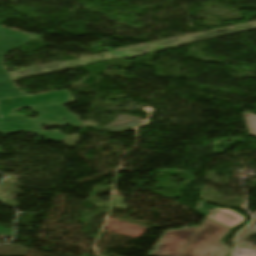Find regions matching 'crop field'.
Returning <instances> with one entry per match:
<instances>
[{
  "instance_id": "obj_1",
  "label": "crop field",
  "mask_w": 256,
  "mask_h": 256,
  "mask_svg": "<svg viewBox=\"0 0 256 256\" xmlns=\"http://www.w3.org/2000/svg\"><path fill=\"white\" fill-rule=\"evenodd\" d=\"M75 100L66 90L43 93L35 96H19L0 99V133L7 134L13 132L26 131L34 135L48 139L62 140L65 136L58 132H45L39 125L64 126L66 124L73 127L82 126V121L67 109L61 107L64 103L74 102ZM29 107L38 113V120H31L15 113L19 108ZM8 113L13 115L9 116ZM69 120L63 122V118ZM47 120L45 123L41 120ZM51 122V124H49ZM23 123H25L23 125ZM42 134L46 136H42ZM51 136L52 138H50Z\"/></svg>"
},
{
  "instance_id": "obj_2",
  "label": "crop field",
  "mask_w": 256,
  "mask_h": 256,
  "mask_svg": "<svg viewBox=\"0 0 256 256\" xmlns=\"http://www.w3.org/2000/svg\"><path fill=\"white\" fill-rule=\"evenodd\" d=\"M229 231L230 229L205 219L181 256H226L229 251L219 240Z\"/></svg>"
},
{
  "instance_id": "obj_3",
  "label": "crop field",
  "mask_w": 256,
  "mask_h": 256,
  "mask_svg": "<svg viewBox=\"0 0 256 256\" xmlns=\"http://www.w3.org/2000/svg\"><path fill=\"white\" fill-rule=\"evenodd\" d=\"M29 38V35L17 33L0 26V98L25 95L17 90L11 77L3 67V58L7 52L19 47Z\"/></svg>"
},
{
  "instance_id": "obj_4",
  "label": "crop field",
  "mask_w": 256,
  "mask_h": 256,
  "mask_svg": "<svg viewBox=\"0 0 256 256\" xmlns=\"http://www.w3.org/2000/svg\"><path fill=\"white\" fill-rule=\"evenodd\" d=\"M198 226L164 232L160 241L158 242L153 253L171 254V256H180L190 241Z\"/></svg>"
},
{
  "instance_id": "obj_5",
  "label": "crop field",
  "mask_w": 256,
  "mask_h": 256,
  "mask_svg": "<svg viewBox=\"0 0 256 256\" xmlns=\"http://www.w3.org/2000/svg\"><path fill=\"white\" fill-rule=\"evenodd\" d=\"M195 211L230 228L236 227L245 221V217L229 209L211 207L201 201H198Z\"/></svg>"
},
{
  "instance_id": "obj_6",
  "label": "crop field",
  "mask_w": 256,
  "mask_h": 256,
  "mask_svg": "<svg viewBox=\"0 0 256 256\" xmlns=\"http://www.w3.org/2000/svg\"><path fill=\"white\" fill-rule=\"evenodd\" d=\"M247 124L249 135L256 136V115L242 113Z\"/></svg>"
},
{
  "instance_id": "obj_7",
  "label": "crop field",
  "mask_w": 256,
  "mask_h": 256,
  "mask_svg": "<svg viewBox=\"0 0 256 256\" xmlns=\"http://www.w3.org/2000/svg\"><path fill=\"white\" fill-rule=\"evenodd\" d=\"M234 256H256V252H253V251H236Z\"/></svg>"
},
{
  "instance_id": "obj_8",
  "label": "crop field",
  "mask_w": 256,
  "mask_h": 256,
  "mask_svg": "<svg viewBox=\"0 0 256 256\" xmlns=\"http://www.w3.org/2000/svg\"><path fill=\"white\" fill-rule=\"evenodd\" d=\"M0 235L13 236V232L7 228L0 227Z\"/></svg>"
},
{
  "instance_id": "obj_9",
  "label": "crop field",
  "mask_w": 256,
  "mask_h": 256,
  "mask_svg": "<svg viewBox=\"0 0 256 256\" xmlns=\"http://www.w3.org/2000/svg\"><path fill=\"white\" fill-rule=\"evenodd\" d=\"M153 256H170V255H162V254H151Z\"/></svg>"
}]
</instances>
